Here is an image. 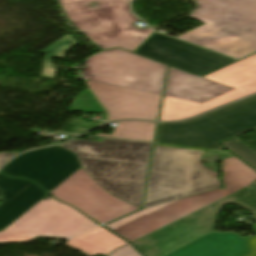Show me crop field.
Instances as JSON below:
<instances>
[{
    "instance_id": "8a807250",
    "label": "crop field",
    "mask_w": 256,
    "mask_h": 256,
    "mask_svg": "<svg viewBox=\"0 0 256 256\" xmlns=\"http://www.w3.org/2000/svg\"><path fill=\"white\" fill-rule=\"evenodd\" d=\"M153 144L103 138L59 145L77 154L85 171L111 194L140 208Z\"/></svg>"
},
{
    "instance_id": "ac0d7876",
    "label": "crop field",
    "mask_w": 256,
    "mask_h": 256,
    "mask_svg": "<svg viewBox=\"0 0 256 256\" xmlns=\"http://www.w3.org/2000/svg\"><path fill=\"white\" fill-rule=\"evenodd\" d=\"M234 156L228 151L155 144L143 208L221 187L218 173L205 168L201 156Z\"/></svg>"
},
{
    "instance_id": "34b2d1b8",
    "label": "crop field",
    "mask_w": 256,
    "mask_h": 256,
    "mask_svg": "<svg viewBox=\"0 0 256 256\" xmlns=\"http://www.w3.org/2000/svg\"><path fill=\"white\" fill-rule=\"evenodd\" d=\"M189 16L206 23L176 38L241 58L256 51V0H195Z\"/></svg>"
},
{
    "instance_id": "412701ff",
    "label": "crop field",
    "mask_w": 256,
    "mask_h": 256,
    "mask_svg": "<svg viewBox=\"0 0 256 256\" xmlns=\"http://www.w3.org/2000/svg\"><path fill=\"white\" fill-rule=\"evenodd\" d=\"M225 189L219 188L138 211L106 225L132 242L193 211L216 202L256 180V172L235 156L222 161Z\"/></svg>"
},
{
    "instance_id": "f4fd0767",
    "label": "crop field",
    "mask_w": 256,
    "mask_h": 256,
    "mask_svg": "<svg viewBox=\"0 0 256 256\" xmlns=\"http://www.w3.org/2000/svg\"><path fill=\"white\" fill-rule=\"evenodd\" d=\"M82 0L61 4L68 19L100 49L119 47L135 51L152 33L148 29H137L135 18L128 8L127 0H99L98 9L85 7Z\"/></svg>"
},
{
    "instance_id": "dd49c442",
    "label": "crop field",
    "mask_w": 256,
    "mask_h": 256,
    "mask_svg": "<svg viewBox=\"0 0 256 256\" xmlns=\"http://www.w3.org/2000/svg\"><path fill=\"white\" fill-rule=\"evenodd\" d=\"M225 204L250 210L256 218V187L246 188L165 226L132 244L146 256H162L187 242L214 230L215 218Z\"/></svg>"
},
{
    "instance_id": "e52e79f7",
    "label": "crop field",
    "mask_w": 256,
    "mask_h": 256,
    "mask_svg": "<svg viewBox=\"0 0 256 256\" xmlns=\"http://www.w3.org/2000/svg\"><path fill=\"white\" fill-rule=\"evenodd\" d=\"M166 69L161 64L113 49L89 57L83 76L90 81L162 95Z\"/></svg>"
},
{
    "instance_id": "d8731c3e",
    "label": "crop field",
    "mask_w": 256,
    "mask_h": 256,
    "mask_svg": "<svg viewBox=\"0 0 256 256\" xmlns=\"http://www.w3.org/2000/svg\"><path fill=\"white\" fill-rule=\"evenodd\" d=\"M97 224L72 207L42 199L11 225L0 231V242L27 241L36 236L66 238Z\"/></svg>"
},
{
    "instance_id": "5a996713",
    "label": "crop field",
    "mask_w": 256,
    "mask_h": 256,
    "mask_svg": "<svg viewBox=\"0 0 256 256\" xmlns=\"http://www.w3.org/2000/svg\"><path fill=\"white\" fill-rule=\"evenodd\" d=\"M50 194L75 206L100 224L118 219L139 209L109 194L82 167Z\"/></svg>"
},
{
    "instance_id": "3316defc",
    "label": "crop field",
    "mask_w": 256,
    "mask_h": 256,
    "mask_svg": "<svg viewBox=\"0 0 256 256\" xmlns=\"http://www.w3.org/2000/svg\"><path fill=\"white\" fill-rule=\"evenodd\" d=\"M80 167L76 154L55 146L26 152L0 171L31 179L50 192Z\"/></svg>"
},
{
    "instance_id": "28ad6ade",
    "label": "crop field",
    "mask_w": 256,
    "mask_h": 256,
    "mask_svg": "<svg viewBox=\"0 0 256 256\" xmlns=\"http://www.w3.org/2000/svg\"><path fill=\"white\" fill-rule=\"evenodd\" d=\"M135 53L199 76L236 61L157 32Z\"/></svg>"
},
{
    "instance_id": "d1516ede",
    "label": "crop field",
    "mask_w": 256,
    "mask_h": 256,
    "mask_svg": "<svg viewBox=\"0 0 256 256\" xmlns=\"http://www.w3.org/2000/svg\"><path fill=\"white\" fill-rule=\"evenodd\" d=\"M108 112L107 121L144 119L156 121L162 96L85 81Z\"/></svg>"
},
{
    "instance_id": "22f410ed",
    "label": "crop field",
    "mask_w": 256,
    "mask_h": 256,
    "mask_svg": "<svg viewBox=\"0 0 256 256\" xmlns=\"http://www.w3.org/2000/svg\"><path fill=\"white\" fill-rule=\"evenodd\" d=\"M194 126L219 142L256 127V101L249 97Z\"/></svg>"
},
{
    "instance_id": "cbeb9de0",
    "label": "crop field",
    "mask_w": 256,
    "mask_h": 256,
    "mask_svg": "<svg viewBox=\"0 0 256 256\" xmlns=\"http://www.w3.org/2000/svg\"><path fill=\"white\" fill-rule=\"evenodd\" d=\"M47 194L33 182L12 179L0 173V230L6 228Z\"/></svg>"
},
{
    "instance_id": "5142ce71",
    "label": "crop field",
    "mask_w": 256,
    "mask_h": 256,
    "mask_svg": "<svg viewBox=\"0 0 256 256\" xmlns=\"http://www.w3.org/2000/svg\"><path fill=\"white\" fill-rule=\"evenodd\" d=\"M204 78L234 88L210 100L217 106L256 93V54L208 74Z\"/></svg>"
},
{
    "instance_id": "d9b57169",
    "label": "crop field",
    "mask_w": 256,
    "mask_h": 256,
    "mask_svg": "<svg viewBox=\"0 0 256 256\" xmlns=\"http://www.w3.org/2000/svg\"><path fill=\"white\" fill-rule=\"evenodd\" d=\"M232 88L170 68L164 95L203 103Z\"/></svg>"
},
{
    "instance_id": "733c2abd",
    "label": "crop field",
    "mask_w": 256,
    "mask_h": 256,
    "mask_svg": "<svg viewBox=\"0 0 256 256\" xmlns=\"http://www.w3.org/2000/svg\"><path fill=\"white\" fill-rule=\"evenodd\" d=\"M247 238L234 232L209 233L166 256H241L246 253Z\"/></svg>"
},
{
    "instance_id": "4a817a6b",
    "label": "crop field",
    "mask_w": 256,
    "mask_h": 256,
    "mask_svg": "<svg viewBox=\"0 0 256 256\" xmlns=\"http://www.w3.org/2000/svg\"><path fill=\"white\" fill-rule=\"evenodd\" d=\"M219 111L221 109L179 123H159L155 142L224 149L217 142L193 127Z\"/></svg>"
},
{
    "instance_id": "bc2a9ffb",
    "label": "crop field",
    "mask_w": 256,
    "mask_h": 256,
    "mask_svg": "<svg viewBox=\"0 0 256 256\" xmlns=\"http://www.w3.org/2000/svg\"><path fill=\"white\" fill-rule=\"evenodd\" d=\"M127 243L100 226L72 238L68 241V246L81 251L87 256H95L97 254L107 256L113 250Z\"/></svg>"
},
{
    "instance_id": "214f88e0",
    "label": "crop field",
    "mask_w": 256,
    "mask_h": 256,
    "mask_svg": "<svg viewBox=\"0 0 256 256\" xmlns=\"http://www.w3.org/2000/svg\"><path fill=\"white\" fill-rule=\"evenodd\" d=\"M216 107L211 102L198 104L164 96L159 121L181 120Z\"/></svg>"
},
{
    "instance_id": "92a150f3",
    "label": "crop field",
    "mask_w": 256,
    "mask_h": 256,
    "mask_svg": "<svg viewBox=\"0 0 256 256\" xmlns=\"http://www.w3.org/2000/svg\"><path fill=\"white\" fill-rule=\"evenodd\" d=\"M155 126L156 123L152 122H121L117 123L113 135L97 134L96 136L153 142Z\"/></svg>"
},
{
    "instance_id": "dafd665d",
    "label": "crop field",
    "mask_w": 256,
    "mask_h": 256,
    "mask_svg": "<svg viewBox=\"0 0 256 256\" xmlns=\"http://www.w3.org/2000/svg\"><path fill=\"white\" fill-rule=\"evenodd\" d=\"M75 44H77V42L68 34L43 51L39 52L41 54H45L41 75L46 78H55L56 66L52 63V58L56 57L63 59L65 52L70 49L71 45Z\"/></svg>"
},
{
    "instance_id": "00972430",
    "label": "crop field",
    "mask_w": 256,
    "mask_h": 256,
    "mask_svg": "<svg viewBox=\"0 0 256 256\" xmlns=\"http://www.w3.org/2000/svg\"><path fill=\"white\" fill-rule=\"evenodd\" d=\"M69 111L104 113L103 109L88 89L74 98L73 104Z\"/></svg>"
},
{
    "instance_id": "a9b5d70f",
    "label": "crop field",
    "mask_w": 256,
    "mask_h": 256,
    "mask_svg": "<svg viewBox=\"0 0 256 256\" xmlns=\"http://www.w3.org/2000/svg\"><path fill=\"white\" fill-rule=\"evenodd\" d=\"M225 147L231 150L233 153L238 155L248 164L256 169V152L245 145L243 142L238 140L236 137L222 142Z\"/></svg>"
},
{
    "instance_id": "4177f3b9",
    "label": "crop field",
    "mask_w": 256,
    "mask_h": 256,
    "mask_svg": "<svg viewBox=\"0 0 256 256\" xmlns=\"http://www.w3.org/2000/svg\"><path fill=\"white\" fill-rule=\"evenodd\" d=\"M108 256H142V255L138 251H136L130 244H127L113 251Z\"/></svg>"
},
{
    "instance_id": "730fd06b",
    "label": "crop field",
    "mask_w": 256,
    "mask_h": 256,
    "mask_svg": "<svg viewBox=\"0 0 256 256\" xmlns=\"http://www.w3.org/2000/svg\"><path fill=\"white\" fill-rule=\"evenodd\" d=\"M16 154H17L16 152H1L0 153V166Z\"/></svg>"
},
{
    "instance_id": "eef30255",
    "label": "crop field",
    "mask_w": 256,
    "mask_h": 256,
    "mask_svg": "<svg viewBox=\"0 0 256 256\" xmlns=\"http://www.w3.org/2000/svg\"><path fill=\"white\" fill-rule=\"evenodd\" d=\"M59 3H63V2H69V1H76V0H58Z\"/></svg>"
},
{
    "instance_id": "ae1a2a85",
    "label": "crop field",
    "mask_w": 256,
    "mask_h": 256,
    "mask_svg": "<svg viewBox=\"0 0 256 256\" xmlns=\"http://www.w3.org/2000/svg\"><path fill=\"white\" fill-rule=\"evenodd\" d=\"M256 100V95L252 96Z\"/></svg>"
}]
</instances>
